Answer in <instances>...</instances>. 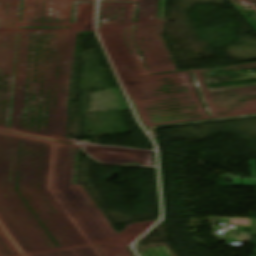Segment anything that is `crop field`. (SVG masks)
<instances>
[{
  "instance_id": "crop-field-3",
  "label": "crop field",
  "mask_w": 256,
  "mask_h": 256,
  "mask_svg": "<svg viewBox=\"0 0 256 256\" xmlns=\"http://www.w3.org/2000/svg\"><path fill=\"white\" fill-rule=\"evenodd\" d=\"M251 235H256V219H253ZM254 255H256V247H255Z\"/></svg>"
},
{
  "instance_id": "crop-field-1",
  "label": "crop field",
  "mask_w": 256,
  "mask_h": 256,
  "mask_svg": "<svg viewBox=\"0 0 256 256\" xmlns=\"http://www.w3.org/2000/svg\"><path fill=\"white\" fill-rule=\"evenodd\" d=\"M242 183L243 187H256V180L253 179H242V182H232V187H240Z\"/></svg>"
},
{
  "instance_id": "crop-field-2",
  "label": "crop field",
  "mask_w": 256,
  "mask_h": 256,
  "mask_svg": "<svg viewBox=\"0 0 256 256\" xmlns=\"http://www.w3.org/2000/svg\"><path fill=\"white\" fill-rule=\"evenodd\" d=\"M251 178H256V160H250Z\"/></svg>"
}]
</instances>
